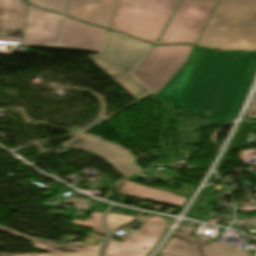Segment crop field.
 <instances>
[{
    "mask_svg": "<svg viewBox=\"0 0 256 256\" xmlns=\"http://www.w3.org/2000/svg\"><path fill=\"white\" fill-rule=\"evenodd\" d=\"M256 68V53L193 48L186 64L155 96L215 123L238 113Z\"/></svg>",
    "mask_w": 256,
    "mask_h": 256,
    "instance_id": "1",
    "label": "crop field"
},
{
    "mask_svg": "<svg viewBox=\"0 0 256 256\" xmlns=\"http://www.w3.org/2000/svg\"><path fill=\"white\" fill-rule=\"evenodd\" d=\"M196 45L255 51L256 0H220Z\"/></svg>",
    "mask_w": 256,
    "mask_h": 256,
    "instance_id": "2",
    "label": "crop field"
},
{
    "mask_svg": "<svg viewBox=\"0 0 256 256\" xmlns=\"http://www.w3.org/2000/svg\"><path fill=\"white\" fill-rule=\"evenodd\" d=\"M179 0H120L110 29L155 44Z\"/></svg>",
    "mask_w": 256,
    "mask_h": 256,
    "instance_id": "3",
    "label": "crop field"
},
{
    "mask_svg": "<svg viewBox=\"0 0 256 256\" xmlns=\"http://www.w3.org/2000/svg\"><path fill=\"white\" fill-rule=\"evenodd\" d=\"M151 47L152 45L109 31L101 53L89 58L136 99L148 90L128 73Z\"/></svg>",
    "mask_w": 256,
    "mask_h": 256,
    "instance_id": "4",
    "label": "crop field"
},
{
    "mask_svg": "<svg viewBox=\"0 0 256 256\" xmlns=\"http://www.w3.org/2000/svg\"><path fill=\"white\" fill-rule=\"evenodd\" d=\"M218 1L182 0L158 44L195 45Z\"/></svg>",
    "mask_w": 256,
    "mask_h": 256,
    "instance_id": "5",
    "label": "crop field"
},
{
    "mask_svg": "<svg viewBox=\"0 0 256 256\" xmlns=\"http://www.w3.org/2000/svg\"><path fill=\"white\" fill-rule=\"evenodd\" d=\"M193 46L155 47L134 72L155 96L185 64Z\"/></svg>",
    "mask_w": 256,
    "mask_h": 256,
    "instance_id": "6",
    "label": "crop field"
},
{
    "mask_svg": "<svg viewBox=\"0 0 256 256\" xmlns=\"http://www.w3.org/2000/svg\"><path fill=\"white\" fill-rule=\"evenodd\" d=\"M136 221L143 224L138 230L128 229L120 236L110 235L104 256H146L167 227V221L157 216H142ZM112 236L125 242H117Z\"/></svg>",
    "mask_w": 256,
    "mask_h": 256,
    "instance_id": "7",
    "label": "crop field"
},
{
    "mask_svg": "<svg viewBox=\"0 0 256 256\" xmlns=\"http://www.w3.org/2000/svg\"><path fill=\"white\" fill-rule=\"evenodd\" d=\"M62 147L84 152L110 164L124 178L142 171L134 162L129 150L85 133L74 138Z\"/></svg>",
    "mask_w": 256,
    "mask_h": 256,
    "instance_id": "8",
    "label": "crop field"
},
{
    "mask_svg": "<svg viewBox=\"0 0 256 256\" xmlns=\"http://www.w3.org/2000/svg\"><path fill=\"white\" fill-rule=\"evenodd\" d=\"M193 226L177 229L159 254L174 256H204L199 239L189 236ZM207 256H250V250L243 251L236 246L201 240Z\"/></svg>",
    "mask_w": 256,
    "mask_h": 256,
    "instance_id": "9",
    "label": "crop field"
},
{
    "mask_svg": "<svg viewBox=\"0 0 256 256\" xmlns=\"http://www.w3.org/2000/svg\"><path fill=\"white\" fill-rule=\"evenodd\" d=\"M107 32L66 17L54 48L100 52Z\"/></svg>",
    "mask_w": 256,
    "mask_h": 256,
    "instance_id": "10",
    "label": "crop field"
},
{
    "mask_svg": "<svg viewBox=\"0 0 256 256\" xmlns=\"http://www.w3.org/2000/svg\"><path fill=\"white\" fill-rule=\"evenodd\" d=\"M62 18L28 5L22 46L51 48Z\"/></svg>",
    "mask_w": 256,
    "mask_h": 256,
    "instance_id": "11",
    "label": "crop field"
},
{
    "mask_svg": "<svg viewBox=\"0 0 256 256\" xmlns=\"http://www.w3.org/2000/svg\"><path fill=\"white\" fill-rule=\"evenodd\" d=\"M0 230L28 240L30 243L33 244L35 249H41V250L53 252V254H22V255H13L10 253H4V254H0V256H98L103 243V240H102L97 246H91V245H87L79 242L72 243V244H59V243H54V242H49V241L28 237L3 227H0Z\"/></svg>",
    "mask_w": 256,
    "mask_h": 256,
    "instance_id": "12",
    "label": "crop field"
},
{
    "mask_svg": "<svg viewBox=\"0 0 256 256\" xmlns=\"http://www.w3.org/2000/svg\"><path fill=\"white\" fill-rule=\"evenodd\" d=\"M119 0H72L69 14L77 19L109 27Z\"/></svg>",
    "mask_w": 256,
    "mask_h": 256,
    "instance_id": "13",
    "label": "crop field"
},
{
    "mask_svg": "<svg viewBox=\"0 0 256 256\" xmlns=\"http://www.w3.org/2000/svg\"><path fill=\"white\" fill-rule=\"evenodd\" d=\"M27 4L23 0H0V38L23 33Z\"/></svg>",
    "mask_w": 256,
    "mask_h": 256,
    "instance_id": "14",
    "label": "crop field"
},
{
    "mask_svg": "<svg viewBox=\"0 0 256 256\" xmlns=\"http://www.w3.org/2000/svg\"><path fill=\"white\" fill-rule=\"evenodd\" d=\"M115 190L118 194L121 195L169 204L178 207H181L187 200L186 198L176 196L170 192H164L126 180L116 184Z\"/></svg>",
    "mask_w": 256,
    "mask_h": 256,
    "instance_id": "15",
    "label": "crop field"
},
{
    "mask_svg": "<svg viewBox=\"0 0 256 256\" xmlns=\"http://www.w3.org/2000/svg\"><path fill=\"white\" fill-rule=\"evenodd\" d=\"M69 0H29L28 2L55 12L64 13Z\"/></svg>",
    "mask_w": 256,
    "mask_h": 256,
    "instance_id": "16",
    "label": "crop field"
},
{
    "mask_svg": "<svg viewBox=\"0 0 256 256\" xmlns=\"http://www.w3.org/2000/svg\"><path fill=\"white\" fill-rule=\"evenodd\" d=\"M104 213H91L92 219H88L85 222L72 220V224L75 226L86 227L95 230L104 231L102 228L101 220Z\"/></svg>",
    "mask_w": 256,
    "mask_h": 256,
    "instance_id": "17",
    "label": "crop field"
},
{
    "mask_svg": "<svg viewBox=\"0 0 256 256\" xmlns=\"http://www.w3.org/2000/svg\"><path fill=\"white\" fill-rule=\"evenodd\" d=\"M135 218L136 217L109 213L106 218L108 230H109V232H112L119 226L124 225V224L132 221Z\"/></svg>",
    "mask_w": 256,
    "mask_h": 256,
    "instance_id": "18",
    "label": "crop field"
},
{
    "mask_svg": "<svg viewBox=\"0 0 256 256\" xmlns=\"http://www.w3.org/2000/svg\"><path fill=\"white\" fill-rule=\"evenodd\" d=\"M94 202H95L94 200H87L83 198H74V197H70L64 201V203L74 204L75 205L74 210H88Z\"/></svg>",
    "mask_w": 256,
    "mask_h": 256,
    "instance_id": "19",
    "label": "crop field"
},
{
    "mask_svg": "<svg viewBox=\"0 0 256 256\" xmlns=\"http://www.w3.org/2000/svg\"><path fill=\"white\" fill-rule=\"evenodd\" d=\"M159 189L167 190V191H170V192H174V193H177V194H181V195L190 197V195L192 194V192L194 191L195 188L190 186V185H185L182 188L177 189V190L162 188V187H159Z\"/></svg>",
    "mask_w": 256,
    "mask_h": 256,
    "instance_id": "20",
    "label": "crop field"
},
{
    "mask_svg": "<svg viewBox=\"0 0 256 256\" xmlns=\"http://www.w3.org/2000/svg\"><path fill=\"white\" fill-rule=\"evenodd\" d=\"M245 116L250 117V118H256V108L255 109H248Z\"/></svg>",
    "mask_w": 256,
    "mask_h": 256,
    "instance_id": "21",
    "label": "crop field"
},
{
    "mask_svg": "<svg viewBox=\"0 0 256 256\" xmlns=\"http://www.w3.org/2000/svg\"><path fill=\"white\" fill-rule=\"evenodd\" d=\"M256 107V95L254 97V100L249 108H255Z\"/></svg>",
    "mask_w": 256,
    "mask_h": 256,
    "instance_id": "22",
    "label": "crop field"
},
{
    "mask_svg": "<svg viewBox=\"0 0 256 256\" xmlns=\"http://www.w3.org/2000/svg\"><path fill=\"white\" fill-rule=\"evenodd\" d=\"M160 256H168V255H160Z\"/></svg>",
    "mask_w": 256,
    "mask_h": 256,
    "instance_id": "23",
    "label": "crop field"
},
{
    "mask_svg": "<svg viewBox=\"0 0 256 256\" xmlns=\"http://www.w3.org/2000/svg\"><path fill=\"white\" fill-rule=\"evenodd\" d=\"M202 245V244H201ZM205 253V252H204ZM206 256V255H205Z\"/></svg>",
    "mask_w": 256,
    "mask_h": 256,
    "instance_id": "24",
    "label": "crop field"
},
{
    "mask_svg": "<svg viewBox=\"0 0 256 256\" xmlns=\"http://www.w3.org/2000/svg\"><path fill=\"white\" fill-rule=\"evenodd\" d=\"M27 1V0H26Z\"/></svg>",
    "mask_w": 256,
    "mask_h": 256,
    "instance_id": "25",
    "label": "crop field"
}]
</instances>
